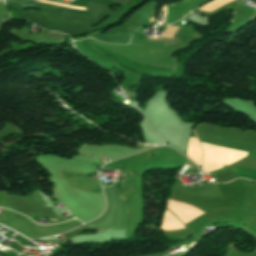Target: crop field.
<instances>
[{
  "label": "crop field",
  "mask_w": 256,
  "mask_h": 256,
  "mask_svg": "<svg viewBox=\"0 0 256 256\" xmlns=\"http://www.w3.org/2000/svg\"><path fill=\"white\" fill-rule=\"evenodd\" d=\"M5 19H6V18L0 16V22L3 21V20H5Z\"/></svg>",
  "instance_id": "412701ff"
},
{
  "label": "crop field",
  "mask_w": 256,
  "mask_h": 256,
  "mask_svg": "<svg viewBox=\"0 0 256 256\" xmlns=\"http://www.w3.org/2000/svg\"><path fill=\"white\" fill-rule=\"evenodd\" d=\"M201 145H202L203 154H204V158H205V153H204V147H203V143H201ZM204 158H203V161H204ZM202 172H204V171H203V162H202Z\"/></svg>",
  "instance_id": "34b2d1b8"
},
{
  "label": "crop field",
  "mask_w": 256,
  "mask_h": 256,
  "mask_svg": "<svg viewBox=\"0 0 256 256\" xmlns=\"http://www.w3.org/2000/svg\"><path fill=\"white\" fill-rule=\"evenodd\" d=\"M38 1L49 2V1H44V0H38ZM49 3H53V2H49ZM54 4H58V3H54ZM59 5H64V4H59ZM64 6L75 7V6H70V5H64ZM75 8L82 9L81 7H75Z\"/></svg>",
  "instance_id": "ac0d7876"
},
{
  "label": "crop field",
  "mask_w": 256,
  "mask_h": 256,
  "mask_svg": "<svg viewBox=\"0 0 256 256\" xmlns=\"http://www.w3.org/2000/svg\"><path fill=\"white\" fill-rule=\"evenodd\" d=\"M177 29H178V27L167 26V28L165 29V31L162 34V36L173 38V36H174L175 32L177 31Z\"/></svg>",
  "instance_id": "8a807250"
},
{
  "label": "crop field",
  "mask_w": 256,
  "mask_h": 256,
  "mask_svg": "<svg viewBox=\"0 0 256 256\" xmlns=\"http://www.w3.org/2000/svg\"><path fill=\"white\" fill-rule=\"evenodd\" d=\"M215 9H217V8H215ZM215 9H213V10H215ZM213 10H211V11H213ZM211 11H209V12H211Z\"/></svg>",
  "instance_id": "f4fd0767"
}]
</instances>
